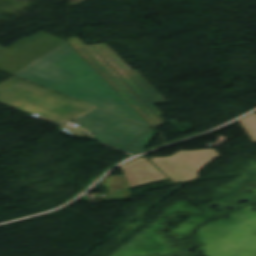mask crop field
I'll use <instances>...</instances> for the list:
<instances>
[{
    "mask_svg": "<svg viewBox=\"0 0 256 256\" xmlns=\"http://www.w3.org/2000/svg\"><path fill=\"white\" fill-rule=\"evenodd\" d=\"M0 70L151 127L67 42L50 35L40 32L7 49L0 46Z\"/></svg>",
    "mask_w": 256,
    "mask_h": 256,
    "instance_id": "crop-field-1",
    "label": "crop field"
},
{
    "mask_svg": "<svg viewBox=\"0 0 256 256\" xmlns=\"http://www.w3.org/2000/svg\"><path fill=\"white\" fill-rule=\"evenodd\" d=\"M68 40L153 127L165 122L153 104L167 102L111 49L105 44L86 46L77 37Z\"/></svg>",
    "mask_w": 256,
    "mask_h": 256,
    "instance_id": "crop-field-2",
    "label": "crop field"
},
{
    "mask_svg": "<svg viewBox=\"0 0 256 256\" xmlns=\"http://www.w3.org/2000/svg\"><path fill=\"white\" fill-rule=\"evenodd\" d=\"M0 103L28 115L37 113L44 120L56 123L93 109L15 77L0 84Z\"/></svg>",
    "mask_w": 256,
    "mask_h": 256,
    "instance_id": "crop-field-3",
    "label": "crop field"
},
{
    "mask_svg": "<svg viewBox=\"0 0 256 256\" xmlns=\"http://www.w3.org/2000/svg\"><path fill=\"white\" fill-rule=\"evenodd\" d=\"M79 119V124L93 134V139L132 155L137 153L125 147L147 129L98 109L75 120Z\"/></svg>",
    "mask_w": 256,
    "mask_h": 256,
    "instance_id": "crop-field-4",
    "label": "crop field"
},
{
    "mask_svg": "<svg viewBox=\"0 0 256 256\" xmlns=\"http://www.w3.org/2000/svg\"><path fill=\"white\" fill-rule=\"evenodd\" d=\"M215 149L198 151H178L164 158H149L175 184L197 179V173L215 158Z\"/></svg>",
    "mask_w": 256,
    "mask_h": 256,
    "instance_id": "crop-field-5",
    "label": "crop field"
},
{
    "mask_svg": "<svg viewBox=\"0 0 256 256\" xmlns=\"http://www.w3.org/2000/svg\"><path fill=\"white\" fill-rule=\"evenodd\" d=\"M120 168L130 188L166 179L143 156L122 165Z\"/></svg>",
    "mask_w": 256,
    "mask_h": 256,
    "instance_id": "crop-field-6",
    "label": "crop field"
},
{
    "mask_svg": "<svg viewBox=\"0 0 256 256\" xmlns=\"http://www.w3.org/2000/svg\"><path fill=\"white\" fill-rule=\"evenodd\" d=\"M152 130L153 129H149L145 134H143L138 140H136L128 148L135 149L139 152H142L156 133Z\"/></svg>",
    "mask_w": 256,
    "mask_h": 256,
    "instance_id": "crop-field-7",
    "label": "crop field"
}]
</instances>
